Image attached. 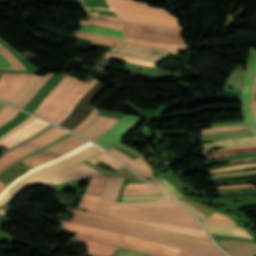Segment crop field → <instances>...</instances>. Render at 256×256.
<instances>
[{"label":"crop field","mask_w":256,"mask_h":256,"mask_svg":"<svg viewBox=\"0 0 256 256\" xmlns=\"http://www.w3.org/2000/svg\"><path fill=\"white\" fill-rule=\"evenodd\" d=\"M252 160H256V158L241 159V160H235V161H231V162H238V161H252ZM231 162H230V163H231Z\"/></svg>","instance_id":"crop-field-67"},{"label":"crop field","mask_w":256,"mask_h":256,"mask_svg":"<svg viewBox=\"0 0 256 256\" xmlns=\"http://www.w3.org/2000/svg\"><path fill=\"white\" fill-rule=\"evenodd\" d=\"M97 82L99 81L94 79L90 83H86L72 77L50 100L47 106L40 112L39 116L57 124L76 103L77 99L75 98L79 94L84 95Z\"/></svg>","instance_id":"crop-field-4"},{"label":"crop field","mask_w":256,"mask_h":256,"mask_svg":"<svg viewBox=\"0 0 256 256\" xmlns=\"http://www.w3.org/2000/svg\"><path fill=\"white\" fill-rule=\"evenodd\" d=\"M52 75V73H48L44 76L28 74L26 80L10 99L9 103L23 108L24 105L35 94V92L40 88V86L44 82H46Z\"/></svg>","instance_id":"crop-field-11"},{"label":"crop field","mask_w":256,"mask_h":256,"mask_svg":"<svg viewBox=\"0 0 256 256\" xmlns=\"http://www.w3.org/2000/svg\"><path fill=\"white\" fill-rule=\"evenodd\" d=\"M124 35L149 41L171 42L185 44L182 39L183 31L155 29L147 27L123 25ZM174 36L175 38L167 37Z\"/></svg>","instance_id":"crop-field-8"},{"label":"crop field","mask_w":256,"mask_h":256,"mask_svg":"<svg viewBox=\"0 0 256 256\" xmlns=\"http://www.w3.org/2000/svg\"><path fill=\"white\" fill-rule=\"evenodd\" d=\"M105 88L106 87L99 82L85 94L88 96L86 100L84 102L79 101L75 107H88V105L95 99V97L100 94Z\"/></svg>","instance_id":"crop-field-32"},{"label":"crop field","mask_w":256,"mask_h":256,"mask_svg":"<svg viewBox=\"0 0 256 256\" xmlns=\"http://www.w3.org/2000/svg\"><path fill=\"white\" fill-rule=\"evenodd\" d=\"M176 206H181V205L172 199L158 201V202H146V203H112L102 198L96 211L105 213L107 209L133 210V209H149V208L176 207Z\"/></svg>","instance_id":"crop-field-13"},{"label":"crop field","mask_w":256,"mask_h":256,"mask_svg":"<svg viewBox=\"0 0 256 256\" xmlns=\"http://www.w3.org/2000/svg\"><path fill=\"white\" fill-rule=\"evenodd\" d=\"M87 141L73 135L66 140L48 148L47 150L36 154L24 161H22L24 164L28 165L31 168H34L42 163L48 162L50 160H53L55 158H58L73 149L81 146L82 144L86 143Z\"/></svg>","instance_id":"crop-field-7"},{"label":"crop field","mask_w":256,"mask_h":256,"mask_svg":"<svg viewBox=\"0 0 256 256\" xmlns=\"http://www.w3.org/2000/svg\"><path fill=\"white\" fill-rule=\"evenodd\" d=\"M152 180H155V181L161 183L162 185H164L166 188H168L170 191H172L173 193L177 194L178 196H180V197L182 196V194H180L168 181L163 180V179H161L159 177L154 178Z\"/></svg>","instance_id":"crop-field-47"},{"label":"crop field","mask_w":256,"mask_h":256,"mask_svg":"<svg viewBox=\"0 0 256 256\" xmlns=\"http://www.w3.org/2000/svg\"><path fill=\"white\" fill-rule=\"evenodd\" d=\"M113 148L118 150V151H120L121 153L125 154L126 156H128V157H130L132 159L137 158L135 155L129 153L128 151L124 150L123 148H121L120 146H118L116 144L113 146Z\"/></svg>","instance_id":"crop-field-54"},{"label":"crop field","mask_w":256,"mask_h":256,"mask_svg":"<svg viewBox=\"0 0 256 256\" xmlns=\"http://www.w3.org/2000/svg\"><path fill=\"white\" fill-rule=\"evenodd\" d=\"M103 154L104 156H106L107 158H109L110 160H112L113 162H115L116 164H118L119 166H123L121 165L119 162H117L115 159H113L111 156H109L107 153L103 152L101 153Z\"/></svg>","instance_id":"crop-field-64"},{"label":"crop field","mask_w":256,"mask_h":256,"mask_svg":"<svg viewBox=\"0 0 256 256\" xmlns=\"http://www.w3.org/2000/svg\"><path fill=\"white\" fill-rule=\"evenodd\" d=\"M107 56H108V58H111V59L141 64V65H147V66H152V67H154V65H155L154 62L144 61V60H140V59H136V58H132V57H128V56H122V55H116V54H110V53H107Z\"/></svg>","instance_id":"crop-field-35"},{"label":"crop field","mask_w":256,"mask_h":256,"mask_svg":"<svg viewBox=\"0 0 256 256\" xmlns=\"http://www.w3.org/2000/svg\"><path fill=\"white\" fill-rule=\"evenodd\" d=\"M244 147H256V145L241 146V147H232V148H226V149L214 150V151H209V152H202L201 154H204V153H211V152H219V151H225V150H231V149H235V148H244Z\"/></svg>","instance_id":"crop-field-60"},{"label":"crop field","mask_w":256,"mask_h":256,"mask_svg":"<svg viewBox=\"0 0 256 256\" xmlns=\"http://www.w3.org/2000/svg\"><path fill=\"white\" fill-rule=\"evenodd\" d=\"M248 128V126H239V127H216L211 129L202 130L201 134H207V133H213V132H219V131H226V130H235V129H245Z\"/></svg>","instance_id":"crop-field-41"},{"label":"crop field","mask_w":256,"mask_h":256,"mask_svg":"<svg viewBox=\"0 0 256 256\" xmlns=\"http://www.w3.org/2000/svg\"><path fill=\"white\" fill-rule=\"evenodd\" d=\"M245 173H256V171H254V172H245ZM234 174H244V173H233V174H224V175H214V176H212V177L215 178V177L226 176V175H234Z\"/></svg>","instance_id":"crop-field-65"},{"label":"crop field","mask_w":256,"mask_h":256,"mask_svg":"<svg viewBox=\"0 0 256 256\" xmlns=\"http://www.w3.org/2000/svg\"><path fill=\"white\" fill-rule=\"evenodd\" d=\"M107 214L129 218L139 219L158 223L172 224L178 226L192 227L201 229L192 214L184 209L168 208V209H154V210H142V211H112L108 210Z\"/></svg>","instance_id":"crop-field-5"},{"label":"crop field","mask_w":256,"mask_h":256,"mask_svg":"<svg viewBox=\"0 0 256 256\" xmlns=\"http://www.w3.org/2000/svg\"><path fill=\"white\" fill-rule=\"evenodd\" d=\"M92 19H96V20H103V21H110V22H118L120 23V21H115V20H107V19H100V18H94V17H91Z\"/></svg>","instance_id":"crop-field-68"},{"label":"crop field","mask_w":256,"mask_h":256,"mask_svg":"<svg viewBox=\"0 0 256 256\" xmlns=\"http://www.w3.org/2000/svg\"><path fill=\"white\" fill-rule=\"evenodd\" d=\"M0 51H2L11 61H13L21 70H30L25 66L16 56H14L8 49L0 44ZM2 52H0V68L18 69Z\"/></svg>","instance_id":"crop-field-20"},{"label":"crop field","mask_w":256,"mask_h":256,"mask_svg":"<svg viewBox=\"0 0 256 256\" xmlns=\"http://www.w3.org/2000/svg\"><path fill=\"white\" fill-rule=\"evenodd\" d=\"M80 24L92 25V26H101V27H108V28H114V29L122 30L121 24L107 23V22H102V21H94V20L85 21V20H81Z\"/></svg>","instance_id":"crop-field-40"},{"label":"crop field","mask_w":256,"mask_h":256,"mask_svg":"<svg viewBox=\"0 0 256 256\" xmlns=\"http://www.w3.org/2000/svg\"><path fill=\"white\" fill-rule=\"evenodd\" d=\"M47 124L48 123L35 118V119L31 120L29 123H27L24 127L18 129L16 132H14L9 137L5 138L0 143V145L6 146V147L14 146V145L20 143L21 141L27 139L31 135L35 134L40 129L45 127Z\"/></svg>","instance_id":"crop-field-15"},{"label":"crop field","mask_w":256,"mask_h":256,"mask_svg":"<svg viewBox=\"0 0 256 256\" xmlns=\"http://www.w3.org/2000/svg\"><path fill=\"white\" fill-rule=\"evenodd\" d=\"M101 198L84 195L79 207L95 211Z\"/></svg>","instance_id":"crop-field-34"},{"label":"crop field","mask_w":256,"mask_h":256,"mask_svg":"<svg viewBox=\"0 0 256 256\" xmlns=\"http://www.w3.org/2000/svg\"><path fill=\"white\" fill-rule=\"evenodd\" d=\"M80 27H81V30H78V31L123 39L122 31H119V30L106 29V28H100V27H92V26H84V25H80ZM86 30L97 31V32H101V33H93V32H89Z\"/></svg>","instance_id":"crop-field-29"},{"label":"crop field","mask_w":256,"mask_h":256,"mask_svg":"<svg viewBox=\"0 0 256 256\" xmlns=\"http://www.w3.org/2000/svg\"><path fill=\"white\" fill-rule=\"evenodd\" d=\"M62 228L79 232L76 236L99 241L105 244L125 247L137 251L149 253L155 256H177L180 249L166 245L142 240L128 235L110 232L102 229L73 224L63 221ZM178 256H208L188 250L181 249Z\"/></svg>","instance_id":"crop-field-2"},{"label":"crop field","mask_w":256,"mask_h":256,"mask_svg":"<svg viewBox=\"0 0 256 256\" xmlns=\"http://www.w3.org/2000/svg\"><path fill=\"white\" fill-rule=\"evenodd\" d=\"M101 152H103V150L89 142L54 161L45 163L27 172L15 179L0 194V208L16 198L28 187L34 185L59 184L93 175L77 164Z\"/></svg>","instance_id":"crop-field-1"},{"label":"crop field","mask_w":256,"mask_h":256,"mask_svg":"<svg viewBox=\"0 0 256 256\" xmlns=\"http://www.w3.org/2000/svg\"><path fill=\"white\" fill-rule=\"evenodd\" d=\"M249 167H256V164H247V165L230 166V167H224V168L206 170V172H208V173L222 172V171H228V170L240 169V168H249Z\"/></svg>","instance_id":"crop-field-43"},{"label":"crop field","mask_w":256,"mask_h":256,"mask_svg":"<svg viewBox=\"0 0 256 256\" xmlns=\"http://www.w3.org/2000/svg\"><path fill=\"white\" fill-rule=\"evenodd\" d=\"M248 152H256V148H249V149H235L231 151L219 152V153H212V154H205V156L210 158H219L227 155H235V154H242Z\"/></svg>","instance_id":"crop-field-38"},{"label":"crop field","mask_w":256,"mask_h":256,"mask_svg":"<svg viewBox=\"0 0 256 256\" xmlns=\"http://www.w3.org/2000/svg\"><path fill=\"white\" fill-rule=\"evenodd\" d=\"M256 64V50L251 49L247 62V72L244 79V87L242 94V105H243V115L245 120L250 124L251 128L256 133V125L254 123L253 115L250 108V95L252 87V76L254 73V68Z\"/></svg>","instance_id":"crop-field-12"},{"label":"crop field","mask_w":256,"mask_h":256,"mask_svg":"<svg viewBox=\"0 0 256 256\" xmlns=\"http://www.w3.org/2000/svg\"><path fill=\"white\" fill-rule=\"evenodd\" d=\"M127 165H129L131 168L146 178L154 177L152 170L141 157L129 162Z\"/></svg>","instance_id":"crop-field-30"},{"label":"crop field","mask_w":256,"mask_h":256,"mask_svg":"<svg viewBox=\"0 0 256 256\" xmlns=\"http://www.w3.org/2000/svg\"><path fill=\"white\" fill-rule=\"evenodd\" d=\"M121 22H122V24H127V25H137V26H147V27H157V28L182 30L181 28H178V27L156 26V25H150V24L133 23V22H125V21H121Z\"/></svg>","instance_id":"crop-field-48"},{"label":"crop field","mask_w":256,"mask_h":256,"mask_svg":"<svg viewBox=\"0 0 256 256\" xmlns=\"http://www.w3.org/2000/svg\"><path fill=\"white\" fill-rule=\"evenodd\" d=\"M152 51L161 53V54H156L153 53ZM111 53H117V54H122V55H128L144 60H150V61H155L158 62L162 58L166 57L168 53L171 54H178L179 52L177 51H168V50H159V49H151V48H146V47H141V46H136V45H131V44H126L119 48L116 51H113ZM148 54H153V55H160V56H151Z\"/></svg>","instance_id":"crop-field-14"},{"label":"crop field","mask_w":256,"mask_h":256,"mask_svg":"<svg viewBox=\"0 0 256 256\" xmlns=\"http://www.w3.org/2000/svg\"><path fill=\"white\" fill-rule=\"evenodd\" d=\"M79 165L82 166L83 168L89 170L90 172H92V173H94V174H101V173L97 172L96 170L90 168L89 166H87V165H85V164H83V163H81V164H79Z\"/></svg>","instance_id":"crop-field-63"},{"label":"crop field","mask_w":256,"mask_h":256,"mask_svg":"<svg viewBox=\"0 0 256 256\" xmlns=\"http://www.w3.org/2000/svg\"><path fill=\"white\" fill-rule=\"evenodd\" d=\"M99 110L94 109L93 112L88 116V118L83 121L80 125H78L73 131L77 132L80 130L83 126H85L88 122H90L97 114Z\"/></svg>","instance_id":"crop-field-49"},{"label":"crop field","mask_w":256,"mask_h":256,"mask_svg":"<svg viewBox=\"0 0 256 256\" xmlns=\"http://www.w3.org/2000/svg\"><path fill=\"white\" fill-rule=\"evenodd\" d=\"M124 38H125L124 42L126 43L147 46L152 48L170 49V50H182L186 48V45L155 43V42H148V41H143L138 39L126 38V37Z\"/></svg>","instance_id":"crop-field-25"},{"label":"crop field","mask_w":256,"mask_h":256,"mask_svg":"<svg viewBox=\"0 0 256 256\" xmlns=\"http://www.w3.org/2000/svg\"><path fill=\"white\" fill-rule=\"evenodd\" d=\"M154 185H156L158 188L162 189L163 191H165L166 193L170 194L171 196L175 197V198H180L178 196H176L175 194H173L172 192H170L168 189H166L164 186H162L161 184L157 183V182H154V181H151Z\"/></svg>","instance_id":"crop-field-58"},{"label":"crop field","mask_w":256,"mask_h":256,"mask_svg":"<svg viewBox=\"0 0 256 256\" xmlns=\"http://www.w3.org/2000/svg\"><path fill=\"white\" fill-rule=\"evenodd\" d=\"M108 151H110L114 156H116L118 159H120L122 162L124 163H128L129 161H131L132 159L124 156L123 154L117 152L116 150L114 149H109Z\"/></svg>","instance_id":"crop-field-51"},{"label":"crop field","mask_w":256,"mask_h":256,"mask_svg":"<svg viewBox=\"0 0 256 256\" xmlns=\"http://www.w3.org/2000/svg\"><path fill=\"white\" fill-rule=\"evenodd\" d=\"M249 144H256V137L226 140V141L213 142V143L202 144V145H205L206 150H214V149H220L225 147L249 145ZM206 150H203V151H206Z\"/></svg>","instance_id":"crop-field-22"},{"label":"crop field","mask_w":256,"mask_h":256,"mask_svg":"<svg viewBox=\"0 0 256 256\" xmlns=\"http://www.w3.org/2000/svg\"><path fill=\"white\" fill-rule=\"evenodd\" d=\"M116 144L120 145L121 147H123L124 149L128 150L129 152L135 154V155L138 156V157L142 155V154L138 153L137 151H135L134 149H132V148H130V147L124 145V144H121V143H119V142L116 143Z\"/></svg>","instance_id":"crop-field-59"},{"label":"crop field","mask_w":256,"mask_h":256,"mask_svg":"<svg viewBox=\"0 0 256 256\" xmlns=\"http://www.w3.org/2000/svg\"><path fill=\"white\" fill-rule=\"evenodd\" d=\"M71 135H73V134H71V133H69V132L66 133L65 135H63V136L60 137L59 139H57V140H55V141H53V142L47 144L46 146H44V147H42V148H40V149H38V150H36V151H34V152L28 154V155H26V156H24V157H22V158L16 160L15 162L11 163V164L8 165L7 167H5V168H3L2 170H0V173H2V172H3L4 170H6L7 168H9V167H11V166L17 164L18 162H20V161H22V160H24V159H26V158H28V157L34 155V154H36V153H38V152H40V151L46 149V148H48V147L54 145L55 143H57V142H59V141L65 139V138H67V137H69V136H71Z\"/></svg>","instance_id":"crop-field-37"},{"label":"crop field","mask_w":256,"mask_h":256,"mask_svg":"<svg viewBox=\"0 0 256 256\" xmlns=\"http://www.w3.org/2000/svg\"><path fill=\"white\" fill-rule=\"evenodd\" d=\"M169 199L168 196L158 193V194H148V195H137V196H122L121 202H146V201H157Z\"/></svg>","instance_id":"crop-field-28"},{"label":"crop field","mask_w":256,"mask_h":256,"mask_svg":"<svg viewBox=\"0 0 256 256\" xmlns=\"http://www.w3.org/2000/svg\"><path fill=\"white\" fill-rule=\"evenodd\" d=\"M87 161H89V162H91V163H93V164H95V163H97L98 162V160H96L95 158H90L89 160H87Z\"/></svg>","instance_id":"crop-field-69"},{"label":"crop field","mask_w":256,"mask_h":256,"mask_svg":"<svg viewBox=\"0 0 256 256\" xmlns=\"http://www.w3.org/2000/svg\"><path fill=\"white\" fill-rule=\"evenodd\" d=\"M2 73L0 72V77H1Z\"/></svg>","instance_id":"crop-field-72"},{"label":"crop field","mask_w":256,"mask_h":256,"mask_svg":"<svg viewBox=\"0 0 256 256\" xmlns=\"http://www.w3.org/2000/svg\"><path fill=\"white\" fill-rule=\"evenodd\" d=\"M4 107V104L0 103V110Z\"/></svg>","instance_id":"crop-field-71"},{"label":"crop field","mask_w":256,"mask_h":256,"mask_svg":"<svg viewBox=\"0 0 256 256\" xmlns=\"http://www.w3.org/2000/svg\"><path fill=\"white\" fill-rule=\"evenodd\" d=\"M83 163L89 165L90 167L96 169L97 171H99V172H101V173H103V174H109V173H107L106 171H104V170H102V169H100V168L94 166L93 164H91V163H89V162H87V161H85V162H83Z\"/></svg>","instance_id":"crop-field-62"},{"label":"crop field","mask_w":256,"mask_h":256,"mask_svg":"<svg viewBox=\"0 0 256 256\" xmlns=\"http://www.w3.org/2000/svg\"><path fill=\"white\" fill-rule=\"evenodd\" d=\"M95 157L99 158L100 160L104 161L105 163L109 164L110 166H112L113 168H115L117 170L120 169L119 166H117L115 163H113L112 161L108 160L107 158H105L104 156H102L100 154L96 155Z\"/></svg>","instance_id":"crop-field-52"},{"label":"crop field","mask_w":256,"mask_h":256,"mask_svg":"<svg viewBox=\"0 0 256 256\" xmlns=\"http://www.w3.org/2000/svg\"><path fill=\"white\" fill-rule=\"evenodd\" d=\"M93 110V108H73L72 112L63 119L59 125L72 130L81 123Z\"/></svg>","instance_id":"crop-field-19"},{"label":"crop field","mask_w":256,"mask_h":256,"mask_svg":"<svg viewBox=\"0 0 256 256\" xmlns=\"http://www.w3.org/2000/svg\"><path fill=\"white\" fill-rule=\"evenodd\" d=\"M157 192L159 191L146 183H138V184H128L123 195L148 194V193H157Z\"/></svg>","instance_id":"crop-field-27"},{"label":"crop field","mask_w":256,"mask_h":256,"mask_svg":"<svg viewBox=\"0 0 256 256\" xmlns=\"http://www.w3.org/2000/svg\"><path fill=\"white\" fill-rule=\"evenodd\" d=\"M53 126H54V125H51V124L47 125L45 128H43L42 130H40L38 133H36V134L33 135L32 137H30V138H28L27 140L23 141L22 143L16 145L15 147H13V148H11V149H7V150H5V151H3V152L6 154L7 152H9V151H11V150H13V149H15V148L21 146L22 144H24V143H26V142H28V141L34 139L35 137L41 135L42 133H44L45 131L49 130V129L52 128Z\"/></svg>","instance_id":"crop-field-45"},{"label":"crop field","mask_w":256,"mask_h":256,"mask_svg":"<svg viewBox=\"0 0 256 256\" xmlns=\"http://www.w3.org/2000/svg\"><path fill=\"white\" fill-rule=\"evenodd\" d=\"M123 179L124 178L122 177L110 176V179L103 197L111 201H115L120 191Z\"/></svg>","instance_id":"crop-field-26"},{"label":"crop field","mask_w":256,"mask_h":256,"mask_svg":"<svg viewBox=\"0 0 256 256\" xmlns=\"http://www.w3.org/2000/svg\"><path fill=\"white\" fill-rule=\"evenodd\" d=\"M209 218H220V219H230L228 216L224 214H220L215 212L211 217ZM205 224H215V225H231L236 226L234 221L232 220H219V219H207Z\"/></svg>","instance_id":"crop-field-36"},{"label":"crop field","mask_w":256,"mask_h":256,"mask_svg":"<svg viewBox=\"0 0 256 256\" xmlns=\"http://www.w3.org/2000/svg\"><path fill=\"white\" fill-rule=\"evenodd\" d=\"M107 1L109 5L112 7V9L117 13L118 17L146 19V20H154V21L178 24L177 19L174 16L170 15L164 9L150 7V6L132 5V4H126V3L116 2V1L132 2V3L148 5L147 3L130 1V0H116V1L107 0Z\"/></svg>","instance_id":"crop-field-6"},{"label":"crop field","mask_w":256,"mask_h":256,"mask_svg":"<svg viewBox=\"0 0 256 256\" xmlns=\"http://www.w3.org/2000/svg\"><path fill=\"white\" fill-rule=\"evenodd\" d=\"M249 131H250V129L237 130V131H230V132H224V133L213 134V135H207V136H200V137H194V138H212V137H217V136H222V135H228V134H234V133H241V132H249Z\"/></svg>","instance_id":"crop-field-50"},{"label":"crop field","mask_w":256,"mask_h":256,"mask_svg":"<svg viewBox=\"0 0 256 256\" xmlns=\"http://www.w3.org/2000/svg\"><path fill=\"white\" fill-rule=\"evenodd\" d=\"M116 251L120 252L116 256H151V255H147V254H143V253H139V252H135V251L119 248V247L116 248Z\"/></svg>","instance_id":"crop-field-44"},{"label":"crop field","mask_w":256,"mask_h":256,"mask_svg":"<svg viewBox=\"0 0 256 256\" xmlns=\"http://www.w3.org/2000/svg\"><path fill=\"white\" fill-rule=\"evenodd\" d=\"M121 20H125V21H135V22H144V23H152V24H161V25H169V26H179V25H175V24L158 23V22H149V21H141V20H133V19H124V18H121Z\"/></svg>","instance_id":"crop-field-56"},{"label":"crop field","mask_w":256,"mask_h":256,"mask_svg":"<svg viewBox=\"0 0 256 256\" xmlns=\"http://www.w3.org/2000/svg\"><path fill=\"white\" fill-rule=\"evenodd\" d=\"M255 91H256V69L253 78V87H252V96H251V107L254 114L255 122H256V113H255Z\"/></svg>","instance_id":"crop-field-46"},{"label":"crop field","mask_w":256,"mask_h":256,"mask_svg":"<svg viewBox=\"0 0 256 256\" xmlns=\"http://www.w3.org/2000/svg\"><path fill=\"white\" fill-rule=\"evenodd\" d=\"M242 187H254L252 184H241V185H233V186H221L217 187L218 189H229V188H242Z\"/></svg>","instance_id":"crop-field-55"},{"label":"crop field","mask_w":256,"mask_h":256,"mask_svg":"<svg viewBox=\"0 0 256 256\" xmlns=\"http://www.w3.org/2000/svg\"><path fill=\"white\" fill-rule=\"evenodd\" d=\"M184 204H186L197 216H199L200 218H202L203 220H205L206 216L203 215L202 213H200L198 210H196L194 207H192L191 205H189L188 203H186L185 201L181 200Z\"/></svg>","instance_id":"crop-field-57"},{"label":"crop field","mask_w":256,"mask_h":256,"mask_svg":"<svg viewBox=\"0 0 256 256\" xmlns=\"http://www.w3.org/2000/svg\"><path fill=\"white\" fill-rule=\"evenodd\" d=\"M110 175H93L86 193L102 196Z\"/></svg>","instance_id":"crop-field-24"},{"label":"crop field","mask_w":256,"mask_h":256,"mask_svg":"<svg viewBox=\"0 0 256 256\" xmlns=\"http://www.w3.org/2000/svg\"><path fill=\"white\" fill-rule=\"evenodd\" d=\"M6 185L3 184L1 181H0V192L3 190V188L5 187Z\"/></svg>","instance_id":"crop-field-70"},{"label":"crop field","mask_w":256,"mask_h":256,"mask_svg":"<svg viewBox=\"0 0 256 256\" xmlns=\"http://www.w3.org/2000/svg\"><path fill=\"white\" fill-rule=\"evenodd\" d=\"M245 182H251L250 179L246 180H238V181H220V182H214L216 186L221 185V184H234V183H245Z\"/></svg>","instance_id":"crop-field-53"},{"label":"crop field","mask_w":256,"mask_h":256,"mask_svg":"<svg viewBox=\"0 0 256 256\" xmlns=\"http://www.w3.org/2000/svg\"><path fill=\"white\" fill-rule=\"evenodd\" d=\"M244 71V69L235 67L233 72L228 77L225 86L241 88Z\"/></svg>","instance_id":"crop-field-33"},{"label":"crop field","mask_w":256,"mask_h":256,"mask_svg":"<svg viewBox=\"0 0 256 256\" xmlns=\"http://www.w3.org/2000/svg\"><path fill=\"white\" fill-rule=\"evenodd\" d=\"M117 121L118 119L97 115L90 123H88L77 133L92 140L107 129H109Z\"/></svg>","instance_id":"crop-field-17"},{"label":"crop field","mask_w":256,"mask_h":256,"mask_svg":"<svg viewBox=\"0 0 256 256\" xmlns=\"http://www.w3.org/2000/svg\"><path fill=\"white\" fill-rule=\"evenodd\" d=\"M86 211H88V210H86ZM89 212H93V211H89ZM93 213L106 215V214L98 213V212H93ZM107 216H109V215H107ZM119 219H121V218H119ZM121 220L137 222V223H141V224H145V225H149V226H153V227H158V228H162V229H166V230H170V231H175V232H180V233H184V234H188V235H192V236L210 239L208 237V235L205 233V231H201V230H195V229H189V228H183V227H177V226H171V225H165V224H158V223H151V222H144V221H133V220H127V219H121Z\"/></svg>","instance_id":"crop-field-18"},{"label":"crop field","mask_w":256,"mask_h":256,"mask_svg":"<svg viewBox=\"0 0 256 256\" xmlns=\"http://www.w3.org/2000/svg\"><path fill=\"white\" fill-rule=\"evenodd\" d=\"M19 111L15 110L7 105L0 111V126L14 117Z\"/></svg>","instance_id":"crop-field-39"},{"label":"crop field","mask_w":256,"mask_h":256,"mask_svg":"<svg viewBox=\"0 0 256 256\" xmlns=\"http://www.w3.org/2000/svg\"><path fill=\"white\" fill-rule=\"evenodd\" d=\"M72 222L88 225L92 227L102 228L106 230H111V231H115L123 234H129L142 239H146V240H150V241H154L162 244H167L171 246H176V247H180V248H184V249H188V250H192L200 253H206V254H211L215 256H227L220 249L205 247V246H200V245H196V244H192V243H188L180 240H175V239L155 235L150 232L140 231V230L112 224V223L101 221V220H95V219L74 215Z\"/></svg>","instance_id":"crop-field-3"},{"label":"crop field","mask_w":256,"mask_h":256,"mask_svg":"<svg viewBox=\"0 0 256 256\" xmlns=\"http://www.w3.org/2000/svg\"><path fill=\"white\" fill-rule=\"evenodd\" d=\"M143 119L135 117L133 115H125L109 130L95 138L93 141L99 143L104 148H109L125 135L134 130ZM98 144V145H99ZM101 146V147H102Z\"/></svg>","instance_id":"crop-field-9"},{"label":"crop field","mask_w":256,"mask_h":256,"mask_svg":"<svg viewBox=\"0 0 256 256\" xmlns=\"http://www.w3.org/2000/svg\"><path fill=\"white\" fill-rule=\"evenodd\" d=\"M252 135H254L252 132L245 133V134H235V135L222 136V137H217V138L208 139V140H199V142L218 141V140L233 139V138L246 137V136H252Z\"/></svg>","instance_id":"crop-field-42"},{"label":"crop field","mask_w":256,"mask_h":256,"mask_svg":"<svg viewBox=\"0 0 256 256\" xmlns=\"http://www.w3.org/2000/svg\"><path fill=\"white\" fill-rule=\"evenodd\" d=\"M76 37L87 38V39L100 41V42H106V43H109V44L92 41L94 43L116 46V47H119L122 44V40H120V39H114V38H109V37L84 34V33H79V32H76Z\"/></svg>","instance_id":"crop-field-31"},{"label":"crop field","mask_w":256,"mask_h":256,"mask_svg":"<svg viewBox=\"0 0 256 256\" xmlns=\"http://www.w3.org/2000/svg\"><path fill=\"white\" fill-rule=\"evenodd\" d=\"M205 227L208 229L210 233L214 234L251 238L244 230V228L214 225H206Z\"/></svg>","instance_id":"crop-field-21"},{"label":"crop field","mask_w":256,"mask_h":256,"mask_svg":"<svg viewBox=\"0 0 256 256\" xmlns=\"http://www.w3.org/2000/svg\"><path fill=\"white\" fill-rule=\"evenodd\" d=\"M66 211L69 213H72V214L80 215V216H85V217H90V218H98V219H102L105 221L113 222V223L124 225V226H129V227H134V228H139V229L155 232V233H158V234H161L164 236H168V237H172V238H176V239H182V240H187V241H191V242H195V243H199V244L217 247L212 241L202 239V238L185 236V235H181V234H177V233H173V232H169V231H165V230H161V229H157V228H153V227H149V226H145V225H141V224H137V223L121 221V220L113 219L110 217L97 215V214H93V213H88V212H83V211H79V210L66 209Z\"/></svg>","instance_id":"crop-field-10"},{"label":"crop field","mask_w":256,"mask_h":256,"mask_svg":"<svg viewBox=\"0 0 256 256\" xmlns=\"http://www.w3.org/2000/svg\"><path fill=\"white\" fill-rule=\"evenodd\" d=\"M27 73H4L0 80V99L8 102L23 83Z\"/></svg>","instance_id":"crop-field-16"},{"label":"crop field","mask_w":256,"mask_h":256,"mask_svg":"<svg viewBox=\"0 0 256 256\" xmlns=\"http://www.w3.org/2000/svg\"><path fill=\"white\" fill-rule=\"evenodd\" d=\"M79 243L88 245V252L90 254L109 256L114 251V246L104 245L99 242L87 241L84 239L75 238Z\"/></svg>","instance_id":"crop-field-23"},{"label":"crop field","mask_w":256,"mask_h":256,"mask_svg":"<svg viewBox=\"0 0 256 256\" xmlns=\"http://www.w3.org/2000/svg\"><path fill=\"white\" fill-rule=\"evenodd\" d=\"M237 125H246V123L214 124V125H212V127H216V126H237Z\"/></svg>","instance_id":"crop-field-61"},{"label":"crop field","mask_w":256,"mask_h":256,"mask_svg":"<svg viewBox=\"0 0 256 256\" xmlns=\"http://www.w3.org/2000/svg\"><path fill=\"white\" fill-rule=\"evenodd\" d=\"M92 16H95V17H101V18H107V19H115V20H119L118 18H115V17H109V16H98V15H92Z\"/></svg>","instance_id":"crop-field-66"}]
</instances>
